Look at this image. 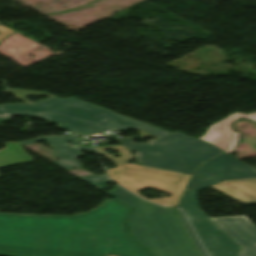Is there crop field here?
Masks as SVG:
<instances>
[{"label": "crop field", "instance_id": "d8731c3e", "mask_svg": "<svg viewBox=\"0 0 256 256\" xmlns=\"http://www.w3.org/2000/svg\"><path fill=\"white\" fill-rule=\"evenodd\" d=\"M46 139L55 149L54 153L60 160L54 162L57 165L67 168L74 169L83 166L82 163L76 161V157L80 156V149H87L94 151L92 147L81 146L78 136L67 135V136H45L34 140L20 142V145L37 142ZM77 144L76 147L69 146V142Z\"/></svg>", "mask_w": 256, "mask_h": 256}, {"label": "crop field", "instance_id": "ac0d7876", "mask_svg": "<svg viewBox=\"0 0 256 256\" xmlns=\"http://www.w3.org/2000/svg\"><path fill=\"white\" fill-rule=\"evenodd\" d=\"M7 92L28 102L0 106V123L17 115L40 117L60 126L84 134L108 129H137L141 137L158 138L152 144H134L133 138L119 139L136 159L145 166L192 174L205 160L223 150L182 133H168L149 125L119 116L102 108L73 98L59 99L40 92L7 89ZM46 94L49 99L32 103L22 95Z\"/></svg>", "mask_w": 256, "mask_h": 256}, {"label": "crop field", "instance_id": "412701ff", "mask_svg": "<svg viewBox=\"0 0 256 256\" xmlns=\"http://www.w3.org/2000/svg\"><path fill=\"white\" fill-rule=\"evenodd\" d=\"M114 148L121 154L117 159L113 155H108L105 150ZM98 153L113 161L118 167L107 170L110 178L121 186L132 191L138 196L139 190L156 189L171 193L167 206H176L184 186L190 175L177 173L167 170H161L151 167L128 164L127 162L134 159L123 146L96 148ZM149 200V199H147ZM160 205H164L166 199L159 198L149 200Z\"/></svg>", "mask_w": 256, "mask_h": 256}, {"label": "crop field", "instance_id": "34b2d1b8", "mask_svg": "<svg viewBox=\"0 0 256 256\" xmlns=\"http://www.w3.org/2000/svg\"><path fill=\"white\" fill-rule=\"evenodd\" d=\"M106 193L135 209L126 220L129 233L152 256H198L174 210L143 201L118 185Z\"/></svg>", "mask_w": 256, "mask_h": 256}, {"label": "crop field", "instance_id": "28ad6ade", "mask_svg": "<svg viewBox=\"0 0 256 256\" xmlns=\"http://www.w3.org/2000/svg\"><path fill=\"white\" fill-rule=\"evenodd\" d=\"M18 143H7L6 148L0 151V167L32 162Z\"/></svg>", "mask_w": 256, "mask_h": 256}, {"label": "crop field", "instance_id": "22f410ed", "mask_svg": "<svg viewBox=\"0 0 256 256\" xmlns=\"http://www.w3.org/2000/svg\"><path fill=\"white\" fill-rule=\"evenodd\" d=\"M80 178L100 189L107 188L105 184L109 182L105 175H93Z\"/></svg>", "mask_w": 256, "mask_h": 256}, {"label": "crop field", "instance_id": "e52e79f7", "mask_svg": "<svg viewBox=\"0 0 256 256\" xmlns=\"http://www.w3.org/2000/svg\"><path fill=\"white\" fill-rule=\"evenodd\" d=\"M211 219L241 247L239 256H256V225L246 216Z\"/></svg>", "mask_w": 256, "mask_h": 256}, {"label": "crop field", "instance_id": "8a807250", "mask_svg": "<svg viewBox=\"0 0 256 256\" xmlns=\"http://www.w3.org/2000/svg\"><path fill=\"white\" fill-rule=\"evenodd\" d=\"M131 210L111 199L75 216L0 213V255L151 256L126 231Z\"/></svg>", "mask_w": 256, "mask_h": 256}, {"label": "crop field", "instance_id": "cbeb9de0", "mask_svg": "<svg viewBox=\"0 0 256 256\" xmlns=\"http://www.w3.org/2000/svg\"><path fill=\"white\" fill-rule=\"evenodd\" d=\"M13 30L0 25V42L6 37L8 36Z\"/></svg>", "mask_w": 256, "mask_h": 256}, {"label": "crop field", "instance_id": "dd49c442", "mask_svg": "<svg viewBox=\"0 0 256 256\" xmlns=\"http://www.w3.org/2000/svg\"><path fill=\"white\" fill-rule=\"evenodd\" d=\"M256 178V169L240 160L221 154L203 163L190 179L185 190L200 189L222 180Z\"/></svg>", "mask_w": 256, "mask_h": 256}, {"label": "crop field", "instance_id": "d1516ede", "mask_svg": "<svg viewBox=\"0 0 256 256\" xmlns=\"http://www.w3.org/2000/svg\"><path fill=\"white\" fill-rule=\"evenodd\" d=\"M177 215L179 216V218L181 219L184 227L186 228L188 234L190 235L193 243L195 244L198 252L200 253L201 256H207L205 251L203 250L201 244L199 243L196 235L194 234L193 230L191 229L190 225L188 224L187 220L185 219L182 211L180 209H177L176 211Z\"/></svg>", "mask_w": 256, "mask_h": 256}, {"label": "crop field", "instance_id": "5a996713", "mask_svg": "<svg viewBox=\"0 0 256 256\" xmlns=\"http://www.w3.org/2000/svg\"><path fill=\"white\" fill-rule=\"evenodd\" d=\"M242 115H243L242 113H234V114L228 116L224 120L211 126L208 129L207 133L204 136L200 137V139L207 141V142L224 150L226 148L227 143L232 134L230 122L237 119L238 117H240ZM243 118H247V119L256 121V113L247 114ZM238 135H239V133L234 132L233 137L230 142V145L227 150L228 152L232 153L234 146L236 144V141L238 139Z\"/></svg>", "mask_w": 256, "mask_h": 256}, {"label": "crop field", "instance_id": "f4fd0767", "mask_svg": "<svg viewBox=\"0 0 256 256\" xmlns=\"http://www.w3.org/2000/svg\"><path fill=\"white\" fill-rule=\"evenodd\" d=\"M198 192H184L181 207L199 235L210 256H238L240 247L198 206Z\"/></svg>", "mask_w": 256, "mask_h": 256}, {"label": "crop field", "instance_id": "3316defc", "mask_svg": "<svg viewBox=\"0 0 256 256\" xmlns=\"http://www.w3.org/2000/svg\"><path fill=\"white\" fill-rule=\"evenodd\" d=\"M213 187L244 204L256 203V179L221 182Z\"/></svg>", "mask_w": 256, "mask_h": 256}]
</instances>
